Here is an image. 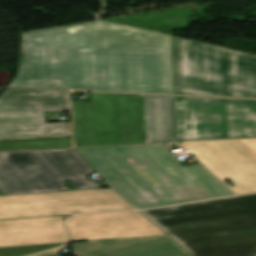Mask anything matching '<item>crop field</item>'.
Returning a JSON list of instances; mask_svg holds the SVG:
<instances>
[{"label": "crop field", "mask_w": 256, "mask_h": 256, "mask_svg": "<svg viewBox=\"0 0 256 256\" xmlns=\"http://www.w3.org/2000/svg\"><path fill=\"white\" fill-rule=\"evenodd\" d=\"M8 87L174 94L171 36L103 21L24 33Z\"/></svg>", "instance_id": "8a807250"}, {"label": "crop field", "mask_w": 256, "mask_h": 256, "mask_svg": "<svg viewBox=\"0 0 256 256\" xmlns=\"http://www.w3.org/2000/svg\"><path fill=\"white\" fill-rule=\"evenodd\" d=\"M77 150L137 209L232 195L199 164L183 167L160 144Z\"/></svg>", "instance_id": "ac0d7876"}, {"label": "crop field", "mask_w": 256, "mask_h": 256, "mask_svg": "<svg viewBox=\"0 0 256 256\" xmlns=\"http://www.w3.org/2000/svg\"><path fill=\"white\" fill-rule=\"evenodd\" d=\"M141 213L192 256H256V194Z\"/></svg>", "instance_id": "34b2d1b8"}, {"label": "crop field", "mask_w": 256, "mask_h": 256, "mask_svg": "<svg viewBox=\"0 0 256 256\" xmlns=\"http://www.w3.org/2000/svg\"><path fill=\"white\" fill-rule=\"evenodd\" d=\"M72 101L80 146L177 141L174 96L90 92Z\"/></svg>", "instance_id": "412701ff"}, {"label": "crop field", "mask_w": 256, "mask_h": 256, "mask_svg": "<svg viewBox=\"0 0 256 256\" xmlns=\"http://www.w3.org/2000/svg\"><path fill=\"white\" fill-rule=\"evenodd\" d=\"M175 94L256 98V55L172 36Z\"/></svg>", "instance_id": "f4fd0767"}, {"label": "crop field", "mask_w": 256, "mask_h": 256, "mask_svg": "<svg viewBox=\"0 0 256 256\" xmlns=\"http://www.w3.org/2000/svg\"><path fill=\"white\" fill-rule=\"evenodd\" d=\"M95 172L74 149L0 152V190L4 195L99 188L86 176Z\"/></svg>", "instance_id": "dd49c442"}, {"label": "crop field", "mask_w": 256, "mask_h": 256, "mask_svg": "<svg viewBox=\"0 0 256 256\" xmlns=\"http://www.w3.org/2000/svg\"><path fill=\"white\" fill-rule=\"evenodd\" d=\"M178 141L256 138V100L175 96Z\"/></svg>", "instance_id": "e52e79f7"}, {"label": "crop field", "mask_w": 256, "mask_h": 256, "mask_svg": "<svg viewBox=\"0 0 256 256\" xmlns=\"http://www.w3.org/2000/svg\"><path fill=\"white\" fill-rule=\"evenodd\" d=\"M70 111L67 91L7 89L0 96V140L71 136L70 122L45 124L43 112Z\"/></svg>", "instance_id": "d8731c3e"}, {"label": "crop field", "mask_w": 256, "mask_h": 256, "mask_svg": "<svg viewBox=\"0 0 256 256\" xmlns=\"http://www.w3.org/2000/svg\"><path fill=\"white\" fill-rule=\"evenodd\" d=\"M134 209L111 189L0 196V219Z\"/></svg>", "instance_id": "5a996713"}, {"label": "crop field", "mask_w": 256, "mask_h": 256, "mask_svg": "<svg viewBox=\"0 0 256 256\" xmlns=\"http://www.w3.org/2000/svg\"><path fill=\"white\" fill-rule=\"evenodd\" d=\"M66 226L71 241L164 234L138 212L77 216Z\"/></svg>", "instance_id": "3316defc"}, {"label": "crop field", "mask_w": 256, "mask_h": 256, "mask_svg": "<svg viewBox=\"0 0 256 256\" xmlns=\"http://www.w3.org/2000/svg\"><path fill=\"white\" fill-rule=\"evenodd\" d=\"M77 256H190L167 235L72 244Z\"/></svg>", "instance_id": "28ad6ade"}, {"label": "crop field", "mask_w": 256, "mask_h": 256, "mask_svg": "<svg viewBox=\"0 0 256 256\" xmlns=\"http://www.w3.org/2000/svg\"><path fill=\"white\" fill-rule=\"evenodd\" d=\"M61 217L0 221V247L65 242Z\"/></svg>", "instance_id": "d1516ede"}, {"label": "crop field", "mask_w": 256, "mask_h": 256, "mask_svg": "<svg viewBox=\"0 0 256 256\" xmlns=\"http://www.w3.org/2000/svg\"><path fill=\"white\" fill-rule=\"evenodd\" d=\"M71 147V139L0 142V151Z\"/></svg>", "instance_id": "22f410ed"}, {"label": "crop field", "mask_w": 256, "mask_h": 256, "mask_svg": "<svg viewBox=\"0 0 256 256\" xmlns=\"http://www.w3.org/2000/svg\"><path fill=\"white\" fill-rule=\"evenodd\" d=\"M63 243L58 244H44V245H30V246H15V247H1L0 256H25L47 249L55 248Z\"/></svg>", "instance_id": "cbeb9de0"}, {"label": "crop field", "mask_w": 256, "mask_h": 256, "mask_svg": "<svg viewBox=\"0 0 256 256\" xmlns=\"http://www.w3.org/2000/svg\"><path fill=\"white\" fill-rule=\"evenodd\" d=\"M61 249H64V247L58 248V249H54V250H50V251H47V252H43V253H40V254H36V255H33V256H59L56 253L58 251H60Z\"/></svg>", "instance_id": "5142ce71"}, {"label": "crop field", "mask_w": 256, "mask_h": 256, "mask_svg": "<svg viewBox=\"0 0 256 256\" xmlns=\"http://www.w3.org/2000/svg\"><path fill=\"white\" fill-rule=\"evenodd\" d=\"M245 140L256 149V139H245Z\"/></svg>", "instance_id": "d9b57169"}, {"label": "crop field", "mask_w": 256, "mask_h": 256, "mask_svg": "<svg viewBox=\"0 0 256 256\" xmlns=\"http://www.w3.org/2000/svg\"><path fill=\"white\" fill-rule=\"evenodd\" d=\"M0 195H3V194L0 192Z\"/></svg>", "instance_id": "733c2abd"}]
</instances>
